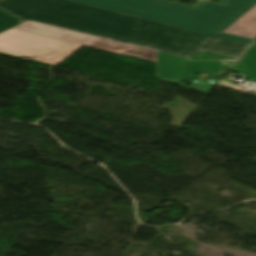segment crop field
<instances>
[{"label":"crop field","instance_id":"1","mask_svg":"<svg viewBox=\"0 0 256 256\" xmlns=\"http://www.w3.org/2000/svg\"><path fill=\"white\" fill-rule=\"evenodd\" d=\"M200 1L196 8L165 0H0L25 21L14 29L82 45L103 38L190 58L202 52L236 59L251 39L221 32L256 0Z\"/></svg>","mask_w":256,"mask_h":256},{"label":"crop field","instance_id":"2","mask_svg":"<svg viewBox=\"0 0 256 256\" xmlns=\"http://www.w3.org/2000/svg\"><path fill=\"white\" fill-rule=\"evenodd\" d=\"M82 45L49 37L10 29L0 34V53L57 67L62 61L80 49Z\"/></svg>","mask_w":256,"mask_h":256},{"label":"crop field","instance_id":"3","mask_svg":"<svg viewBox=\"0 0 256 256\" xmlns=\"http://www.w3.org/2000/svg\"><path fill=\"white\" fill-rule=\"evenodd\" d=\"M158 79L180 84L185 79L189 59L157 52Z\"/></svg>","mask_w":256,"mask_h":256},{"label":"crop field","instance_id":"4","mask_svg":"<svg viewBox=\"0 0 256 256\" xmlns=\"http://www.w3.org/2000/svg\"><path fill=\"white\" fill-rule=\"evenodd\" d=\"M233 61V59L199 52L190 60L186 79H194L200 72L214 74L229 67Z\"/></svg>","mask_w":256,"mask_h":256},{"label":"crop field","instance_id":"5","mask_svg":"<svg viewBox=\"0 0 256 256\" xmlns=\"http://www.w3.org/2000/svg\"><path fill=\"white\" fill-rule=\"evenodd\" d=\"M90 47H94L102 50H109V51L129 55V56L157 62L156 51L154 50L127 45V44H123V43H119V42H115L107 39H104L101 42H99L97 45L90 46Z\"/></svg>","mask_w":256,"mask_h":256},{"label":"crop field","instance_id":"6","mask_svg":"<svg viewBox=\"0 0 256 256\" xmlns=\"http://www.w3.org/2000/svg\"><path fill=\"white\" fill-rule=\"evenodd\" d=\"M224 32L253 39L256 35V5Z\"/></svg>","mask_w":256,"mask_h":256},{"label":"crop field","instance_id":"7","mask_svg":"<svg viewBox=\"0 0 256 256\" xmlns=\"http://www.w3.org/2000/svg\"><path fill=\"white\" fill-rule=\"evenodd\" d=\"M256 81V44L254 43L249 50L231 68Z\"/></svg>","mask_w":256,"mask_h":256},{"label":"crop field","instance_id":"8","mask_svg":"<svg viewBox=\"0 0 256 256\" xmlns=\"http://www.w3.org/2000/svg\"><path fill=\"white\" fill-rule=\"evenodd\" d=\"M20 23L22 22L0 11V33Z\"/></svg>","mask_w":256,"mask_h":256},{"label":"crop field","instance_id":"9","mask_svg":"<svg viewBox=\"0 0 256 256\" xmlns=\"http://www.w3.org/2000/svg\"><path fill=\"white\" fill-rule=\"evenodd\" d=\"M190 82H191V85H190L191 88H193V89H195L197 91H200L202 93L209 94L212 91V89L216 86V83L219 82V81L218 80H214V82H216L214 85L209 83V82H207V83H205L203 85L197 84V83H195L193 81H190Z\"/></svg>","mask_w":256,"mask_h":256},{"label":"crop field","instance_id":"10","mask_svg":"<svg viewBox=\"0 0 256 256\" xmlns=\"http://www.w3.org/2000/svg\"><path fill=\"white\" fill-rule=\"evenodd\" d=\"M215 38H217V36H216ZM215 38H214V39H215ZM214 39H212L210 42H212ZM210 42H209V43H210ZM209 43H208V44H209ZM208 44H206V45H208ZM206 45H205V46H206ZM205 46H204V47H205ZM204 47H203V48H204ZM203 48H202V49H203ZM200 50H201V49H200ZM200 50H199V51H200Z\"/></svg>","mask_w":256,"mask_h":256}]
</instances>
